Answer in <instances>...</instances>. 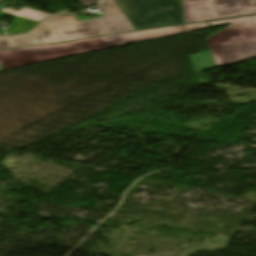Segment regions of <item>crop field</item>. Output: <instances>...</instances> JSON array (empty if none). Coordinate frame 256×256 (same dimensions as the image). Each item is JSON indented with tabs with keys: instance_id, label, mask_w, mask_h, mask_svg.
Instances as JSON below:
<instances>
[{
	"instance_id": "8a807250",
	"label": "crop field",
	"mask_w": 256,
	"mask_h": 256,
	"mask_svg": "<svg viewBox=\"0 0 256 256\" xmlns=\"http://www.w3.org/2000/svg\"><path fill=\"white\" fill-rule=\"evenodd\" d=\"M97 8L103 14V18L79 22L74 14L54 16L39 25L44 30L41 34L29 33L11 38L0 37V49L134 30L114 0H105Z\"/></svg>"
},
{
	"instance_id": "ac0d7876",
	"label": "crop field",
	"mask_w": 256,
	"mask_h": 256,
	"mask_svg": "<svg viewBox=\"0 0 256 256\" xmlns=\"http://www.w3.org/2000/svg\"><path fill=\"white\" fill-rule=\"evenodd\" d=\"M183 26H174L154 30L95 37L71 43L55 45H35L27 48L0 51V61L5 69L32 64L36 62L67 57L106 48L126 45L158 37L180 34Z\"/></svg>"
},
{
	"instance_id": "34b2d1b8",
	"label": "crop field",
	"mask_w": 256,
	"mask_h": 256,
	"mask_svg": "<svg viewBox=\"0 0 256 256\" xmlns=\"http://www.w3.org/2000/svg\"><path fill=\"white\" fill-rule=\"evenodd\" d=\"M206 40L217 67L256 56V26L231 25Z\"/></svg>"
},
{
	"instance_id": "412701ff",
	"label": "crop field",
	"mask_w": 256,
	"mask_h": 256,
	"mask_svg": "<svg viewBox=\"0 0 256 256\" xmlns=\"http://www.w3.org/2000/svg\"><path fill=\"white\" fill-rule=\"evenodd\" d=\"M137 30L183 23L178 0H116Z\"/></svg>"
},
{
	"instance_id": "f4fd0767",
	"label": "crop field",
	"mask_w": 256,
	"mask_h": 256,
	"mask_svg": "<svg viewBox=\"0 0 256 256\" xmlns=\"http://www.w3.org/2000/svg\"><path fill=\"white\" fill-rule=\"evenodd\" d=\"M256 14V0H183L184 23Z\"/></svg>"
},
{
	"instance_id": "dd49c442",
	"label": "crop field",
	"mask_w": 256,
	"mask_h": 256,
	"mask_svg": "<svg viewBox=\"0 0 256 256\" xmlns=\"http://www.w3.org/2000/svg\"><path fill=\"white\" fill-rule=\"evenodd\" d=\"M189 57L196 73L216 67L209 51L191 55Z\"/></svg>"
},
{
	"instance_id": "e52e79f7",
	"label": "crop field",
	"mask_w": 256,
	"mask_h": 256,
	"mask_svg": "<svg viewBox=\"0 0 256 256\" xmlns=\"http://www.w3.org/2000/svg\"><path fill=\"white\" fill-rule=\"evenodd\" d=\"M0 11L6 12V13H9V14H12V15L20 16V17H23V18H27V19H30V20L38 21V22H40L44 18L51 15V14H47V13H44V12H40V11H36V10H32V9H27V8H23L19 11L9 9V8H4Z\"/></svg>"
},
{
	"instance_id": "d8731c3e",
	"label": "crop field",
	"mask_w": 256,
	"mask_h": 256,
	"mask_svg": "<svg viewBox=\"0 0 256 256\" xmlns=\"http://www.w3.org/2000/svg\"><path fill=\"white\" fill-rule=\"evenodd\" d=\"M12 17L15 18V22L11 25V27L8 30H6L8 35H15L27 32L33 29L37 24V22L29 21L15 16Z\"/></svg>"
},
{
	"instance_id": "5a996713",
	"label": "crop field",
	"mask_w": 256,
	"mask_h": 256,
	"mask_svg": "<svg viewBox=\"0 0 256 256\" xmlns=\"http://www.w3.org/2000/svg\"><path fill=\"white\" fill-rule=\"evenodd\" d=\"M210 23H211V27L218 26V25L229 24V23L256 25V16L235 18V19H228V20H221V21H213V22H210Z\"/></svg>"
},
{
	"instance_id": "3316defc",
	"label": "crop field",
	"mask_w": 256,
	"mask_h": 256,
	"mask_svg": "<svg viewBox=\"0 0 256 256\" xmlns=\"http://www.w3.org/2000/svg\"><path fill=\"white\" fill-rule=\"evenodd\" d=\"M184 26L186 28L185 32H187V31L207 28L208 24H207V22H203V23L187 24V25H184Z\"/></svg>"
},
{
	"instance_id": "28ad6ade",
	"label": "crop field",
	"mask_w": 256,
	"mask_h": 256,
	"mask_svg": "<svg viewBox=\"0 0 256 256\" xmlns=\"http://www.w3.org/2000/svg\"><path fill=\"white\" fill-rule=\"evenodd\" d=\"M81 1H83L84 3L90 5V4H93V3H95V2H97L99 0H81Z\"/></svg>"
},
{
	"instance_id": "d1516ede",
	"label": "crop field",
	"mask_w": 256,
	"mask_h": 256,
	"mask_svg": "<svg viewBox=\"0 0 256 256\" xmlns=\"http://www.w3.org/2000/svg\"><path fill=\"white\" fill-rule=\"evenodd\" d=\"M38 28H39V26L37 27V29H36L34 32H36V33H41V32H43L42 30H38Z\"/></svg>"
},
{
	"instance_id": "22f410ed",
	"label": "crop field",
	"mask_w": 256,
	"mask_h": 256,
	"mask_svg": "<svg viewBox=\"0 0 256 256\" xmlns=\"http://www.w3.org/2000/svg\"><path fill=\"white\" fill-rule=\"evenodd\" d=\"M1 63V62H0ZM2 65V64H1ZM4 68V67H3ZM5 70V69H4Z\"/></svg>"
},
{
	"instance_id": "cbeb9de0",
	"label": "crop field",
	"mask_w": 256,
	"mask_h": 256,
	"mask_svg": "<svg viewBox=\"0 0 256 256\" xmlns=\"http://www.w3.org/2000/svg\"><path fill=\"white\" fill-rule=\"evenodd\" d=\"M1 3V2H0Z\"/></svg>"
}]
</instances>
